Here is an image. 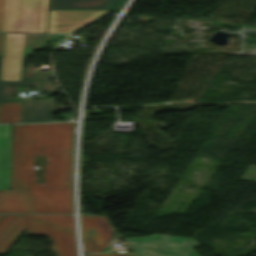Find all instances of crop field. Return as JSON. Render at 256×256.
Wrapping results in <instances>:
<instances>
[{
	"label": "crop field",
	"instance_id": "crop-field-10",
	"mask_svg": "<svg viewBox=\"0 0 256 256\" xmlns=\"http://www.w3.org/2000/svg\"><path fill=\"white\" fill-rule=\"evenodd\" d=\"M23 229L21 215H6L3 218L0 222V254H4Z\"/></svg>",
	"mask_w": 256,
	"mask_h": 256
},
{
	"label": "crop field",
	"instance_id": "crop-field-4",
	"mask_svg": "<svg viewBox=\"0 0 256 256\" xmlns=\"http://www.w3.org/2000/svg\"><path fill=\"white\" fill-rule=\"evenodd\" d=\"M35 13L36 0H3L0 32H34Z\"/></svg>",
	"mask_w": 256,
	"mask_h": 256
},
{
	"label": "crop field",
	"instance_id": "crop-field-21",
	"mask_svg": "<svg viewBox=\"0 0 256 256\" xmlns=\"http://www.w3.org/2000/svg\"><path fill=\"white\" fill-rule=\"evenodd\" d=\"M2 216H3V215H0V219H1Z\"/></svg>",
	"mask_w": 256,
	"mask_h": 256
},
{
	"label": "crop field",
	"instance_id": "crop-field-19",
	"mask_svg": "<svg viewBox=\"0 0 256 256\" xmlns=\"http://www.w3.org/2000/svg\"><path fill=\"white\" fill-rule=\"evenodd\" d=\"M85 256H125V255H113V254L102 253V254L85 255Z\"/></svg>",
	"mask_w": 256,
	"mask_h": 256
},
{
	"label": "crop field",
	"instance_id": "crop-field-9",
	"mask_svg": "<svg viewBox=\"0 0 256 256\" xmlns=\"http://www.w3.org/2000/svg\"><path fill=\"white\" fill-rule=\"evenodd\" d=\"M0 213H32L27 190L0 191Z\"/></svg>",
	"mask_w": 256,
	"mask_h": 256
},
{
	"label": "crop field",
	"instance_id": "crop-field-2",
	"mask_svg": "<svg viewBox=\"0 0 256 256\" xmlns=\"http://www.w3.org/2000/svg\"><path fill=\"white\" fill-rule=\"evenodd\" d=\"M26 235H46L54 256H76L72 215H22Z\"/></svg>",
	"mask_w": 256,
	"mask_h": 256
},
{
	"label": "crop field",
	"instance_id": "crop-field-5",
	"mask_svg": "<svg viewBox=\"0 0 256 256\" xmlns=\"http://www.w3.org/2000/svg\"><path fill=\"white\" fill-rule=\"evenodd\" d=\"M35 74L22 67L21 81H0L1 84L33 85ZM21 101V98L0 100V103ZM22 122L53 121L57 112L54 98L21 101Z\"/></svg>",
	"mask_w": 256,
	"mask_h": 256
},
{
	"label": "crop field",
	"instance_id": "crop-field-20",
	"mask_svg": "<svg viewBox=\"0 0 256 256\" xmlns=\"http://www.w3.org/2000/svg\"><path fill=\"white\" fill-rule=\"evenodd\" d=\"M2 37H3V34H0V54H1V48H2Z\"/></svg>",
	"mask_w": 256,
	"mask_h": 256
},
{
	"label": "crop field",
	"instance_id": "crop-field-1",
	"mask_svg": "<svg viewBox=\"0 0 256 256\" xmlns=\"http://www.w3.org/2000/svg\"><path fill=\"white\" fill-rule=\"evenodd\" d=\"M72 127L73 123L13 125L11 189H28L33 213H72V186L63 175ZM34 163L44 173L34 170Z\"/></svg>",
	"mask_w": 256,
	"mask_h": 256
},
{
	"label": "crop field",
	"instance_id": "crop-field-11",
	"mask_svg": "<svg viewBox=\"0 0 256 256\" xmlns=\"http://www.w3.org/2000/svg\"><path fill=\"white\" fill-rule=\"evenodd\" d=\"M10 125L0 126V189H9Z\"/></svg>",
	"mask_w": 256,
	"mask_h": 256
},
{
	"label": "crop field",
	"instance_id": "crop-field-16",
	"mask_svg": "<svg viewBox=\"0 0 256 256\" xmlns=\"http://www.w3.org/2000/svg\"><path fill=\"white\" fill-rule=\"evenodd\" d=\"M64 175L72 184V149H65Z\"/></svg>",
	"mask_w": 256,
	"mask_h": 256
},
{
	"label": "crop field",
	"instance_id": "crop-field-13",
	"mask_svg": "<svg viewBox=\"0 0 256 256\" xmlns=\"http://www.w3.org/2000/svg\"><path fill=\"white\" fill-rule=\"evenodd\" d=\"M21 122L20 102L0 104V123Z\"/></svg>",
	"mask_w": 256,
	"mask_h": 256
},
{
	"label": "crop field",
	"instance_id": "crop-field-14",
	"mask_svg": "<svg viewBox=\"0 0 256 256\" xmlns=\"http://www.w3.org/2000/svg\"><path fill=\"white\" fill-rule=\"evenodd\" d=\"M51 77V73H36L34 81L35 90L40 89L41 92L48 91V95L56 94L58 88L49 82Z\"/></svg>",
	"mask_w": 256,
	"mask_h": 256
},
{
	"label": "crop field",
	"instance_id": "crop-field-6",
	"mask_svg": "<svg viewBox=\"0 0 256 256\" xmlns=\"http://www.w3.org/2000/svg\"><path fill=\"white\" fill-rule=\"evenodd\" d=\"M107 10H49L48 32L72 33Z\"/></svg>",
	"mask_w": 256,
	"mask_h": 256
},
{
	"label": "crop field",
	"instance_id": "crop-field-3",
	"mask_svg": "<svg viewBox=\"0 0 256 256\" xmlns=\"http://www.w3.org/2000/svg\"><path fill=\"white\" fill-rule=\"evenodd\" d=\"M125 241L136 256H198L192 248L200 246L193 239L158 234Z\"/></svg>",
	"mask_w": 256,
	"mask_h": 256
},
{
	"label": "crop field",
	"instance_id": "crop-field-17",
	"mask_svg": "<svg viewBox=\"0 0 256 256\" xmlns=\"http://www.w3.org/2000/svg\"><path fill=\"white\" fill-rule=\"evenodd\" d=\"M241 178L246 181L256 182V166L250 165Z\"/></svg>",
	"mask_w": 256,
	"mask_h": 256
},
{
	"label": "crop field",
	"instance_id": "crop-field-18",
	"mask_svg": "<svg viewBox=\"0 0 256 256\" xmlns=\"http://www.w3.org/2000/svg\"><path fill=\"white\" fill-rule=\"evenodd\" d=\"M123 0H108V9L117 10Z\"/></svg>",
	"mask_w": 256,
	"mask_h": 256
},
{
	"label": "crop field",
	"instance_id": "crop-field-8",
	"mask_svg": "<svg viewBox=\"0 0 256 256\" xmlns=\"http://www.w3.org/2000/svg\"><path fill=\"white\" fill-rule=\"evenodd\" d=\"M24 37L25 34H5L1 80H20Z\"/></svg>",
	"mask_w": 256,
	"mask_h": 256
},
{
	"label": "crop field",
	"instance_id": "crop-field-12",
	"mask_svg": "<svg viewBox=\"0 0 256 256\" xmlns=\"http://www.w3.org/2000/svg\"><path fill=\"white\" fill-rule=\"evenodd\" d=\"M49 9H107V0H50Z\"/></svg>",
	"mask_w": 256,
	"mask_h": 256
},
{
	"label": "crop field",
	"instance_id": "crop-field-7",
	"mask_svg": "<svg viewBox=\"0 0 256 256\" xmlns=\"http://www.w3.org/2000/svg\"><path fill=\"white\" fill-rule=\"evenodd\" d=\"M85 252L103 251L113 229L105 216H81Z\"/></svg>",
	"mask_w": 256,
	"mask_h": 256
},
{
	"label": "crop field",
	"instance_id": "crop-field-22",
	"mask_svg": "<svg viewBox=\"0 0 256 256\" xmlns=\"http://www.w3.org/2000/svg\"><path fill=\"white\" fill-rule=\"evenodd\" d=\"M0 5H1V0H0Z\"/></svg>",
	"mask_w": 256,
	"mask_h": 256
},
{
	"label": "crop field",
	"instance_id": "crop-field-15",
	"mask_svg": "<svg viewBox=\"0 0 256 256\" xmlns=\"http://www.w3.org/2000/svg\"><path fill=\"white\" fill-rule=\"evenodd\" d=\"M48 0H37L35 32H45Z\"/></svg>",
	"mask_w": 256,
	"mask_h": 256
}]
</instances>
